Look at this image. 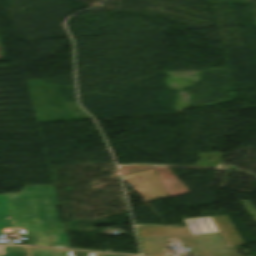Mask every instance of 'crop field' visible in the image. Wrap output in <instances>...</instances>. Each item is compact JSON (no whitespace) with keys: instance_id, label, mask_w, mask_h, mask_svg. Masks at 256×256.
Listing matches in <instances>:
<instances>
[{"instance_id":"1","label":"crop field","mask_w":256,"mask_h":256,"mask_svg":"<svg viewBox=\"0 0 256 256\" xmlns=\"http://www.w3.org/2000/svg\"><path fill=\"white\" fill-rule=\"evenodd\" d=\"M13 226L31 237L28 245L51 247L47 231L65 232L54 207L58 205L54 186L25 187L19 194H6Z\"/></svg>"},{"instance_id":"2","label":"crop field","mask_w":256,"mask_h":256,"mask_svg":"<svg viewBox=\"0 0 256 256\" xmlns=\"http://www.w3.org/2000/svg\"><path fill=\"white\" fill-rule=\"evenodd\" d=\"M31 256H72L71 251L57 249L29 248Z\"/></svg>"},{"instance_id":"3","label":"crop field","mask_w":256,"mask_h":256,"mask_svg":"<svg viewBox=\"0 0 256 256\" xmlns=\"http://www.w3.org/2000/svg\"><path fill=\"white\" fill-rule=\"evenodd\" d=\"M10 215L6 195H0V219H6Z\"/></svg>"},{"instance_id":"4","label":"crop field","mask_w":256,"mask_h":256,"mask_svg":"<svg viewBox=\"0 0 256 256\" xmlns=\"http://www.w3.org/2000/svg\"><path fill=\"white\" fill-rule=\"evenodd\" d=\"M16 231L12 227V220H0V232Z\"/></svg>"},{"instance_id":"5","label":"crop field","mask_w":256,"mask_h":256,"mask_svg":"<svg viewBox=\"0 0 256 256\" xmlns=\"http://www.w3.org/2000/svg\"><path fill=\"white\" fill-rule=\"evenodd\" d=\"M52 247H62L57 232L48 231Z\"/></svg>"},{"instance_id":"6","label":"crop field","mask_w":256,"mask_h":256,"mask_svg":"<svg viewBox=\"0 0 256 256\" xmlns=\"http://www.w3.org/2000/svg\"><path fill=\"white\" fill-rule=\"evenodd\" d=\"M63 248H70L66 233L58 232Z\"/></svg>"},{"instance_id":"7","label":"crop field","mask_w":256,"mask_h":256,"mask_svg":"<svg viewBox=\"0 0 256 256\" xmlns=\"http://www.w3.org/2000/svg\"><path fill=\"white\" fill-rule=\"evenodd\" d=\"M142 227H150V226H142Z\"/></svg>"}]
</instances>
